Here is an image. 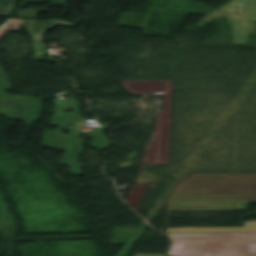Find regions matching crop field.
Wrapping results in <instances>:
<instances>
[{"label": "crop field", "mask_w": 256, "mask_h": 256, "mask_svg": "<svg viewBox=\"0 0 256 256\" xmlns=\"http://www.w3.org/2000/svg\"><path fill=\"white\" fill-rule=\"evenodd\" d=\"M70 106L74 105L73 101H69ZM68 106L66 102H54V107Z\"/></svg>", "instance_id": "crop-field-6"}, {"label": "crop field", "mask_w": 256, "mask_h": 256, "mask_svg": "<svg viewBox=\"0 0 256 256\" xmlns=\"http://www.w3.org/2000/svg\"><path fill=\"white\" fill-rule=\"evenodd\" d=\"M232 1V0H231ZM242 3V5H238ZM220 9L227 10L237 15L223 11H215L201 20L198 26H205L215 17H227L229 24L233 25V43H247V35L255 31L256 0H233Z\"/></svg>", "instance_id": "crop-field-2"}, {"label": "crop field", "mask_w": 256, "mask_h": 256, "mask_svg": "<svg viewBox=\"0 0 256 256\" xmlns=\"http://www.w3.org/2000/svg\"><path fill=\"white\" fill-rule=\"evenodd\" d=\"M168 232H256V221H245L244 227L167 228Z\"/></svg>", "instance_id": "crop-field-3"}, {"label": "crop field", "mask_w": 256, "mask_h": 256, "mask_svg": "<svg viewBox=\"0 0 256 256\" xmlns=\"http://www.w3.org/2000/svg\"><path fill=\"white\" fill-rule=\"evenodd\" d=\"M173 242H188L182 256H256V233L167 234Z\"/></svg>", "instance_id": "crop-field-1"}, {"label": "crop field", "mask_w": 256, "mask_h": 256, "mask_svg": "<svg viewBox=\"0 0 256 256\" xmlns=\"http://www.w3.org/2000/svg\"><path fill=\"white\" fill-rule=\"evenodd\" d=\"M187 243H173L168 254L181 256Z\"/></svg>", "instance_id": "crop-field-5"}, {"label": "crop field", "mask_w": 256, "mask_h": 256, "mask_svg": "<svg viewBox=\"0 0 256 256\" xmlns=\"http://www.w3.org/2000/svg\"><path fill=\"white\" fill-rule=\"evenodd\" d=\"M1 68V67H0ZM1 70H2V68H1ZM2 72H3V70H2ZM3 74H4V72H3ZM4 76H5V74H4ZM6 77V76H5ZM7 79V78H6ZM8 81V80H7ZM9 83V82H8ZM10 85V84H9ZM11 87V86H10ZM12 89V88H11Z\"/></svg>", "instance_id": "crop-field-7"}, {"label": "crop field", "mask_w": 256, "mask_h": 256, "mask_svg": "<svg viewBox=\"0 0 256 256\" xmlns=\"http://www.w3.org/2000/svg\"><path fill=\"white\" fill-rule=\"evenodd\" d=\"M15 0H0V17L9 16L14 8Z\"/></svg>", "instance_id": "crop-field-4"}, {"label": "crop field", "mask_w": 256, "mask_h": 256, "mask_svg": "<svg viewBox=\"0 0 256 256\" xmlns=\"http://www.w3.org/2000/svg\"><path fill=\"white\" fill-rule=\"evenodd\" d=\"M168 256H171V255H168Z\"/></svg>", "instance_id": "crop-field-8"}]
</instances>
